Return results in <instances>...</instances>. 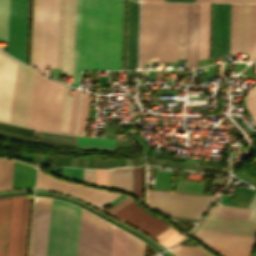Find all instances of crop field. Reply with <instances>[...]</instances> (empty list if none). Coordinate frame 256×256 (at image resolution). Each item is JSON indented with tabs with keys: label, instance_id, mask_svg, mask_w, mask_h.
I'll return each mask as SVG.
<instances>
[{
	"label": "crop field",
	"instance_id": "8a807250",
	"mask_svg": "<svg viewBox=\"0 0 256 256\" xmlns=\"http://www.w3.org/2000/svg\"><path fill=\"white\" fill-rule=\"evenodd\" d=\"M125 0H77L72 85L81 70L122 69Z\"/></svg>",
	"mask_w": 256,
	"mask_h": 256
},
{
	"label": "crop field",
	"instance_id": "ac0d7876",
	"mask_svg": "<svg viewBox=\"0 0 256 256\" xmlns=\"http://www.w3.org/2000/svg\"><path fill=\"white\" fill-rule=\"evenodd\" d=\"M35 71L0 52V121L27 127Z\"/></svg>",
	"mask_w": 256,
	"mask_h": 256
},
{
	"label": "crop field",
	"instance_id": "34b2d1b8",
	"mask_svg": "<svg viewBox=\"0 0 256 256\" xmlns=\"http://www.w3.org/2000/svg\"><path fill=\"white\" fill-rule=\"evenodd\" d=\"M59 0H34L31 66L56 68Z\"/></svg>",
	"mask_w": 256,
	"mask_h": 256
},
{
	"label": "crop field",
	"instance_id": "412701ff",
	"mask_svg": "<svg viewBox=\"0 0 256 256\" xmlns=\"http://www.w3.org/2000/svg\"><path fill=\"white\" fill-rule=\"evenodd\" d=\"M81 209L52 199L47 256H77Z\"/></svg>",
	"mask_w": 256,
	"mask_h": 256
},
{
	"label": "crop field",
	"instance_id": "f4fd0767",
	"mask_svg": "<svg viewBox=\"0 0 256 256\" xmlns=\"http://www.w3.org/2000/svg\"><path fill=\"white\" fill-rule=\"evenodd\" d=\"M64 89L36 72L28 127L58 132Z\"/></svg>",
	"mask_w": 256,
	"mask_h": 256
},
{
	"label": "crop field",
	"instance_id": "dd49c442",
	"mask_svg": "<svg viewBox=\"0 0 256 256\" xmlns=\"http://www.w3.org/2000/svg\"><path fill=\"white\" fill-rule=\"evenodd\" d=\"M95 217L82 211L78 256H104L107 223ZM112 231L108 223L105 256H110ZM126 239L127 233L114 227L111 256H125Z\"/></svg>",
	"mask_w": 256,
	"mask_h": 256
},
{
	"label": "crop field",
	"instance_id": "e52e79f7",
	"mask_svg": "<svg viewBox=\"0 0 256 256\" xmlns=\"http://www.w3.org/2000/svg\"><path fill=\"white\" fill-rule=\"evenodd\" d=\"M216 197L148 190V204L168 216L199 219Z\"/></svg>",
	"mask_w": 256,
	"mask_h": 256
},
{
	"label": "crop field",
	"instance_id": "d8731c3e",
	"mask_svg": "<svg viewBox=\"0 0 256 256\" xmlns=\"http://www.w3.org/2000/svg\"><path fill=\"white\" fill-rule=\"evenodd\" d=\"M75 1L60 0L57 68L61 73L72 74Z\"/></svg>",
	"mask_w": 256,
	"mask_h": 256
},
{
	"label": "crop field",
	"instance_id": "5a996713",
	"mask_svg": "<svg viewBox=\"0 0 256 256\" xmlns=\"http://www.w3.org/2000/svg\"><path fill=\"white\" fill-rule=\"evenodd\" d=\"M178 3H160L158 62L176 61Z\"/></svg>",
	"mask_w": 256,
	"mask_h": 256
},
{
	"label": "crop field",
	"instance_id": "3316defc",
	"mask_svg": "<svg viewBox=\"0 0 256 256\" xmlns=\"http://www.w3.org/2000/svg\"><path fill=\"white\" fill-rule=\"evenodd\" d=\"M31 198L13 197L8 256H25Z\"/></svg>",
	"mask_w": 256,
	"mask_h": 256
},
{
	"label": "crop field",
	"instance_id": "28ad6ade",
	"mask_svg": "<svg viewBox=\"0 0 256 256\" xmlns=\"http://www.w3.org/2000/svg\"><path fill=\"white\" fill-rule=\"evenodd\" d=\"M28 0H10L8 53L25 62Z\"/></svg>",
	"mask_w": 256,
	"mask_h": 256
},
{
	"label": "crop field",
	"instance_id": "d1516ede",
	"mask_svg": "<svg viewBox=\"0 0 256 256\" xmlns=\"http://www.w3.org/2000/svg\"><path fill=\"white\" fill-rule=\"evenodd\" d=\"M159 3H142L140 62H157Z\"/></svg>",
	"mask_w": 256,
	"mask_h": 256
},
{
	"label": "crop field",
	"instance_id": "22f410ed",
	"mask_svg": "<svg viewBox=\"0 0 256 256\" xmlns=\"http://www.w3.org/2000/svg\"><path fill=\"white\" fill-rule=\"evenodd\" d=\"M51 199L35 198L29 256H46Z\"/></svg>",
	"mask_w": 256,
	"mask_h": 256
},
{
	"label": "crop field",
	"instance_id": "cbeb9de0",
	"mask_svg": "<svg viewBox=\"0 0 256 256\" xmlns=\"http://www.w3.org/2000/svg\"><path fill=\"white\" fill-rule=\"evenodd\" d=\"M231 4L213 3L212 57L229 54Z\"/></svg>",
	"mask_w": 256,
	"mask_h": 256
},
{
	"label": "crop field",
	"instance_id": "5142ce71",
	"mask_svg": "<svg viewBox=\"0 0 256 256\" xmlns=\"http://www.w3.org/2000/svg\"><path fill=\"white\" fill-rule=\"evenodd\" d=\"M247 219L213 213L200 229L256 237V222L247 221Z\"/></svg>",
	"mask_w": 256,
	"mask_h": 256
},
{
	"label": "crop field",
	"instance_id": "d9b57169",
	"mask_svg": "<svg viewBox=\"0 0 256 256\" xmlns=\"http://www.w3.org/2000/svg\"><path fill=\"white\" fill-rule=\"evenodd\" d=\"M114 216L138 227L153 238L170 227L164 220L151 216L133 202Z\"/></svg>",
	"mask_w": 256,
	"mask_h": 256
},
{
	"label": "crop field",
	"instance_id": "733c2abd",
	"mask_svg": "<svg viewBox=\"0 0 256 256\" xmlns=\"http://www.w3.org/2000/svg\"><path fill=\"white\" fill-rule=\"evenodd\" d=\"M139 3L128 0L126 69L136 68Z\"/></svg>",
	"mask_w": 256,
	"mask_h": 256
},
{
	"label": "crop field",
	"instance_id": "4a817a6b",
	"mask_svg": "<svg viewBox=\"0 0 256 256\" xmlns=\"http://www.w3.org/2000/svg\"><path fill=\"white\" fill-rule=\"evenodd\" d=\"M199 3H188L186 68L197 66Z\"/></svg>",
	"mask_w": 256,
	"mask_h": 256
},
{
	"label": "crop field",
	"instance_id": "bc2a9ffb",
	"mask_svg": "<svg viewBox=\"0 0 256 256\" xmlns=\"http://www.w3.org/2000/svg\"><path fill=\"white\" fill-rule=\"evenodd\" d=\"M37 187L74 195L85 201L89 200L91 197L99 192L98 190H92L76 185L67 184L65 182L53 179L40 171H38Z\"/></svg>",
	"mask_w": 256,
	"mask_h": 256
},
{
	"label": "crop field",
	"instance_id": "214f88e0",
	"mask_svg": "<svg viewBox=\"0 0 256 256\" xmlns=\"http://www.w3.org/2000/svg\"><path fill=\"white\" fill-rule=\"evenodd\" d=\"M69 91L67 87L59 132L75 134L81 91L74 89L73 96H69Z\"/></svg>",
	"mask_w": 256,
	"mask_h": 256
},
{
	"label": "crop field",
	"instance_id": "92a150f3",
	"mask_svg": "<svg viewBox=\"0 0 256 256\" xmlns=\"http://www.w3.org/2000/svg\"><path fill=\"white\" fill-rule=\"evenodd\" d=\"M194 237L204 242L244 247V248H250V249H253L255 239H256L253 237L238 236V235L209 232V231H202V230L196 231Z\"/></svg>",
	"mask_w": 256,
	"mask_h": 256
},
{
	"label": "crop field",
	"instance_id": "dafd665d",
	"mask_svg": "<svg viewBox=\"0 0 256 256\" xmlns=\"http://www.w3.org/2000/svg\"><path fill=\"white\" fill-rule=\"evenodd\" d=\"M107 188L120 190L132 195V167L107 169Z\"/></svg>",
	"mask_w": 256,
	"mask_h": 256
},
{
	"label": "crop field",
	"instance_id": "00972430",
	"mask_svg": "<svg viewBox=\"0 0 256 256\" xmlns=\"http://www.w3.org/2000/svg\"><path fill=\"white\" fill-rule=\"evenodd\" d=\"M210 3H200L198 59L208 57Z\"/></svg>",
	"mask_w": 256,
	"mask_h": 256
},
{
	"label": "crop field",
	"instance_id": "a9b5d70f",
	"mask_svg": "<svg viewBox=\"0 0 256 256\" xmlns=\"http://www.w3.org/2000/svg\"><path fill=\"white\" fill-rule=\"evenodd\" d=\"M12 197L0 199V256H7Z\"/></svg>",
	"mask_w": 256,
	"mask_h": 256
},
{
	"label": "crop field",
	"instance_id": "4177f3b9",
	"mask_svg": "<svg viewBox=\"0 0 256 256\" xmlns=\"http://www.w3.org/2000/svg\"><path fill=\"white\" fill-rule=\"evenodd\" d=\"M249 4H239L237 53L248 54Z\"/></svg>",
	"mask_w": 256,
	"mask_h": 256
},
{
	"label": "crop field",
	"instance_id": "730fd06b",
	"mask_svg": "<svg viewBox=\"0 0 256 256\" xmlns=\"http://www.w3.org/2000/svg\"><path fill=\"white\" fill-rule=\"evenodd\" d=\"M36 169L14 161L12 188L33 187Z\"/></svg>",
	"mask_w": 256,
	"mask_h": 256
},
{
	"label": "crop field",
	"instance_id": "eef30255",
	"mask_svg": "<svg viewBox=\"0 0 256 256\" xmlns=\"http://www.w3.org/2000/svg\"><path fill=\"white\" fill-rule=\"evenodd\" d=\"M187 3H179L177 58H185Z\"/></svg>",
	"mask_w": 256,
	"mask_h": 256
},
{
	"label": "crop field",
	"instance_id": "ae1a2a85",
	"mask_svg": "<svg viewBox=\"0 0 256 256\" xmlns=\"http://www.w3.org/2000/svg\"><path fill=\"white\" fill-rule=\"evenodd\" d=\"M115 140L77 136V147L114 150Z\"/></svg>",
	"mask_w": 256,
	"mask_h": 256
},
{
	"label": "crop field",
	"instance_id": "d3111659",
	"mask_svg": "<svg viewBox=\"0 0 256 256\" xmlns=\"http://www.w3.org/2000/svg\"><path fill=\"white\" fill-rule=\"evenodd\" d=\"M204 243V242H203ZM214 251H216L221 256H251L252 251L250 249L230 247L224 245L204 243Z\"/></svg>",
	"mask_w": 256,
	"mask_h": 256
},
{
	"label": "crop field",
	"instance_id": "750c4746",
	"mask_svg": "<svg viewBox=\"0 0 256 256\" xmlns=\"http://www.w3.org/2000/svg\"><path fill=\"white\" fill-rule=\"evenodd\" d=\"M13 161L0 159V190L11 188Z\"/></svg>",
	"mask_w": 256,
	"mask_h": 256
},
{
	"label": "crop field",
	"instance_id": "bd1437ed",
	"mask_svg": "<svg viewBox=\"0 0 256 256\" xmlns=\"http://www.w3.org/2000/svg\"><path fill=\"white\" fill-rule=\"evenodd\" d=\"M171 251L175 256H212L199 245L197 247L178 245L177 247L172 248Z\"/></svg>",
	"mask_w": 256,
	"mask_h": 256
},
{
	"label": "crop field",
	"instance_id": "1d83c4d3",
	"mask_svg": "<svg viewBox=\"0 0 256 256\" xmlns=\"http://www.w3.org/2000/svg\"><path fill=\"white\" fill-rule=\"evenodd\" d=\"M133 196L143 202V166L133 167Z\"/></svg>",
	"mask_w": 256,
	"mask_h": 256
},
{
	"label": "crop field",
	"instance_id": "120bbe31",
	"mask_svg": "<svg viewBox=\"0 0 256 256\" xmlns=\"http://www.w3.org/2000/svg\"><path fill=\"white\" fill-rule=\"evenodd\" d=\"M9 0H0V40H7Z\"/></svg>",
	"mask_w": 256,
	"mask_h": 256
},
{
	"label": "crop field",
	"instance_id": "d32e631a",
	"mask_svg": "<svg viewBox=\"0 0 256 256\" xmlns=\"http://www.w3.org/2000/svg\"><path fill=\"white\" fill-rule=\"evenodd\" d=\"M118 196H120V195L115 194V193L106 192V191H101L87 202L102 209L107 204H109L114 199H116Z\"/></svg>",
	"mask_w": 256,
	"mask_h": 256
},
{
	"label": "crop field",
	"instance_id": "5866460e",
	"mask_svg": "<svg viewBox=\"0 0 256 256\" xmlns=\"http://www.w3.org/2000/svg\"><path fill=\"white\" fill-rule=\"evenodd\" d=\"M238 4H232L230 54H236Z\"/></svg>",
	"mask_w": 256,
	"mask_h": 256
},
{
	"label": "crop field",
	"instance_id": "028f5c9d",
	"mask_svg": "<svg viewBox=\"0 0 256 256\" xmlns=\"http://www.w3.org/2000/svg\"><path fill=\"white\" fill-rule=\"evenodd\" d=\"M252 18H253V4H250L249 61L251 60V46H252ZM255 55H256V4H254L252 59L255 57Z\"/></svg>",
	"mask_w": 256,
	"mask_h": 256
},
{
	"label": "crop field",
	"instance_id": "e1f06a70",
	"mask_svg": "<svg viewBox=\"0 0 256 256\" xmlns=\"http://www.w3.org/2000/svg\"><path fill=\"white\" fill-rule=\"evenodd\" d=\"M254 66L256 75V61L254 63ZM244 102L249 114L251 115L256 124V85L253 86L250 89V91L246 94Z\"/></svg>",
	"mask_w": 256,
	"mask_h": 256
},
{
	"label": "crop field",
	"instance_id": "0bd39190",
	"mask_svg": "<svg viewBox=\"0 0 256 256\" xmlns=\"http://www.w3.org/2000/svg\"><path fill=\"white\" fill-rule=\"evenodd\" d=\"M144 243L128 235L126 256H143Z\"/></svg>",
	"mask_w": 256,
	"mask_h": 256
},
{
	"label": "crop field",
	"instance_id": "b80d0937",
	"mask_svg": "<svg viewBox=\"0 0 256 256\" xmlns=\"http://www.w3.org/2000/svg\"><path fill=\"white\" fill-rule=\"evenodd\" d=\"M89 97H90V94L88 93L83 94L80 119H79L78 131H77L78 135H84V132H85Z\"/></svg>",
	"mask_w": 256,
	"mask_h": 256
},
{
	"label": "crop field",
	"instance_id": "c035e120",
	"mask_svg": "<svg viewBox=\"0 0 256 256\" xmlns=\"http://www.w3.org/2000/svg\"><path fill=\"white\" fill-rule=\"evenodd\" d=\"M250 210L248 208L219 205L215 212L248 217Z\"/></svg>",
	"mask_w": 256,
	"mask_h": 256
},
{
	"label": "crop field",
	"instance_id": "c21b1889",
	"mask_svg": "<svg viewBox=\"0 0 256 256\" xmlns=\"http://www.w3.org/2000/svg\"><path fill=\"white\" fill-rule=\"evenodd\" d=\"M83 183L95 186V170L83 169Z\"/></svg>",
	"mask_w": 256,
	"mask_h": 256
},
{
	"label": "crop field",
	"instance_id": "03da06ac",
	"mask_svg": "<svg viewBox=\"0 0 256 256\" xmlns=\"http://www.w3.org/2000/svg\"><path fill=\"white\" fill-rule=\"evenodd\" d=\"M96 186L106 188V169L96 170Z\"/></svg>",
	"mask_w": 256,
	"mask_h": 256
},
{
	"label": "crop field",
	"instance_id": "b54c1fbb",
	"mask_svg": "<svg viewBox=\"0 0 256 256\" xmlns=\"http://www.w3.org/2000/svg\"><path fill=\"white\" fill-rule=\"evenodd\" d=\"M134 200L130 199V198H125L124 200H122L121 202H119L118 204H116L114 207H112L111 209H109L108 213L110 214H115L117 211H119L120 209H122L123 207H125L127 204H129L130 202H132Z\"/></svg>",
	"mask_w": 256,
	"mask_h": 256
},
{
	"label": "crop field",
	"instance_id": "5d738f31",
	"mask_svg": "<svg viewBox=\"0 0 256 256\" xmlns=\"http://www.w3.org/2000/svg\"><path fill=\"white\" fill-rule=\"evenodd\" d=\"M182 238H183V236L176 232L171 237H169L167 240H165L162 244L169 247V246L179 242Z\"/></svg>",
	"mask_w": 256,
	"mask_h": 256
},
{
	"label": "crop field",
	"instance_id": "d23c7cc5",
	"mask_svg": "<svg viewBox=\"0 0 256 256\" xmlns=\"http://www.w3.org/2000/svg\"><path fill=\"white\" fill-rule=\"evenodd\" d=\"M248 207L252 208L248 220L256 221V192H255V194H254V196H253V198H252Z\"/></svg>",
	"mask_w": 256,
	"mask_h": 256
},
{
	"label": "crop field",
	"instance_id": "425ffa30",
	"mask_svg": "<svg viewBox=\"0 0 256 256\" xmlns=\"http://www.w3.org/2000/svg\"><path fill=\"white\" fill-rule=\"evenodd\" d=\"M175 231V229L172 227H170L169 229H167L166 231H164L162 234H160L159 236H157L156 239L158 242H162L164 241L166 238H168L170 235H172Z\"/></svg>",
	"mask_w": 256,
	"mask_h": 256
},
{
	"label": "crop field",
	"instance_id": "25e5ab78",
	"mask_svg": "<svg viewBox=\"0 0 256 256\" xmlns=\"http://www.w3.org/2000/svg\"><path fill=\"white\" fill-rule=\"evenodd\" d=\"M73 180L82 183V169L73 168Z\"/></svg>",
	"mask_w": 256,
	"mask_h": 256
},
{
	"label": "crop field",
	"instance_id": "73cf0c24",
	"mask_svg": "<svg viewBox=\"0 0 256 256\" xmlns=\"http://www.w3.org/2000/svg\"><path fill=\"white\" fill-rule=\"evenodd\" d=\"M62 158H63V156H58L56 165H61V163H62ZM70 158H71V157L64 156L63 164H62V165L69 166Z\"/></svg>",
	"mask_w": 256,
	"mask_h": 256
},
{
	"label": "crop field",
	"instance_id": "89e229c0",
	"mask_svg": "<svg viewBox=\"0 0 256 256\" xmlns=\"http://www.w3.org/2000/svg\"><path fill=\"white\" fill-rule=\"evenodd\" d=\"M182 164L183 163H180V162H174V161H168L166 160V163H165V166H168V167H177V168H182Z\"/></svg>",
	"mask_w": 256,
	"mask_h": 256
},
{
	"label": "crop field",
	"instance_id": "1f2cbd36",
	"mask_svg": "<svg viewBox=\"0 0 256 256\" xmlns=\"http://www.w3.org/2000/svg\"><path fill=\"white\" fill-rule=\"evenodd\" d=\"M2 124V123H1ZM5 125H7V124H5ZM11 126V125H10ZM1 127V126H0ZM6 127V126H5ZM4 127V128H5ZM4 128H0L1 130H5V131H10V132H15V133H21V134H26V135H32V134H27V133H23V132H18V131H14V130H9V129H4ZM9 128H12V127H9ZM20 128V127H19ZM13 129H17V128H13ZM24 129V128H23ZM18 130H21V129H18ZM29 130V129H28ZM22 131H25V130H22ZM27 132H29V131H27ZM33 133V132H32ZM17 136V135H16ZM32 136H34V135H32ZM22 137V136H21Z\"/></svg>",
	"mask_w": 256,
	"mask_h": 256
},
{
	"label": "crop field",
	"instance_id": "dbb93151",
	"mask_svg": "<svg viewBox=\"0 0 256 256\" xmlns=\"http://www.w3.org/2000/svg\"><path fill=\"white\" fill-rule=\"evenodd\" d=\"M203 165L218 167L217 165H209V164H205V163H204ZM207 166H203V168L218 170V168H214V167H207ZM202 171H205V172H218V171H214V170H206V169H203Z\"/></svg>",
	"mask_w": 256,
	"mask_h": 256
},
{
	"label": "crop field",
	"instance_id": "0fb4a251",
	"mask_svg": "<svg viewBox=\"0 0 256 256\" xmlns=\"http://www.w3.org/2000/svg\"><path fill=\"white\" fill-rule=\"evenodd\" d=\"M117 165H126L124 159H114V166Z\"/></svg>",
	"mask_w": 256,
	"mask_h": 256
},
{
	"label": "crop field",
	"instance_id": "1d79db26",
	"mask_svg": "<svg viewBox=\"0 0 256 256\" xmlns=\"http://www.w3.org/2000/svg\"><path fill=\"white\" fill-rule=\"evenodd\" d=\"M228 2H246V3H256V0H228Z\"/></svg>",
	"mask_w": 256,
	"mask_h": 256
},
{
	"label": "crop field",
	"instance_id": "9d1cf04e",
	"mask_svg": "<svg viewBox=\"0 0 256 256\" xmlns=\"http://www.w3.org/2000/svg\"><path fill=\"white\" fill-rule=\"evenodd\" d=\"M156 157L154 156H148V164L155 165Z\"/></svg>",
	"mask_w": 256,
	"mask_h": 256
},
{
	"label": "crop field",
	"instance_id": "447ae74e",
	"mask_svg": "<svg viewBox=\"0 0 256 256\" xmlns=\"http://www.w3.org/2000/svg\"><path fill=\"white\" fill-rule=\"evenodd\" d=\"M78 158L72 157L70 166H77Z\"/></svg>",
	"mask_w": 256,
	"mask_h": 256
},
{
	"label": "crop field",
	"instance_id": "0765c3eb",
	"mask_svg": "<svg viewBox=\"0 0 256 256\" xmlns=\"http://www.w3.org/2000/svg\"><path fill=\"white\" fill-rule=\"evenodd\" d=\"M107 167V159H101V168Z\"/></svg>",
	"mask_w": 256,
	"mask_h": 256
},
{
	"label": "crop field",
	"instance_id": "db79e9e6",
	"mask_svg": "<svg viewBox=\"0 0 256 256\" xmlns=\"http://www.w3.org/2000/svg\"><path fill=\"white\" fill-rule=\"evenodd\" d=\"M93 167H98L100 168V159H95L94 161V166Z\"/></svg>",
	"mask_w": 256,
	"mask_h": 256
},
{
	"label": "crop field",
	"instance_id": "7b73153f",
	"mask_svg": "<svg viewBox=\"0 0 256 256\" xmlns=\"http://www.w3.org/2000/svg\"><path fill=\"white\" fill-rule=\"evenodd\" d=\"M165 160L157 159L156 165L164 166Z\"/></svg>",
	"mask_w": 256,
	"mask_h": 256
},
{
	"label": "crop field",
	"instance_id": "78b8030e",
	"mask_svg": "<svg viewBox=\"0 0 256 256\" xmlns=\"http://www.w3.org/2000/svg\"><path fill=\"white\" fill-rule=\"evenodd\" d=\"M224 64L220 65L219 76H223Z\"/></svg>",
	"mask_w": 256,
	"mask_h": 256
},
{
	"label": "crop field",
	"instance_id": "0f1d7ab4",
	"mask_svg": "<svg viewBox=\"0 0 256 256\" xmlns=\"http://www.w3.org/2000/svg\"><path fill=\"white\" fill-rule=\"evenodd\" d=\"M38 156H39V154L37 155V158H36V161H35L36 163H37V161H38ZM43 156H44V155H40V156H39V161H38L39 164H41Z\"/></svg>",
	"mask_w": 256,
	"mask_h": 256
},
{
	"label": "crop field",
	"instance_id": "e1d0b9f6",
	"mask_svg": "<svg viewBox=\"0 0 256 256\" xmlns=\"http://www.w3.org/2000/svg\"><path fill=\"white\" fill-rule=\"evenodd\" d=\"M189 163L190 162L185 161L182 169H188Z\"/></svg>",
	"mask_w": 256,
	"mask_h": 256
},
{
	"label": "crop field",
	"instance_id": "ae633e8c",
	"mask_svg": "<svg viewBox=\"0 0 256 256\" xmlns=\"http://www.w3.org/2000/svg\"><path fill=\"white\" fill-rule=\"evenodd\" d=\"M117 149H133L132 146L117 147Z\"/></svg>",
	"mask_w": 256,
	"mask_h": 256
},
{
	"label": "crop field",
	"instance_id": "d14b1444",
	"mask_svg": "<svg viewBox=\"0 0 256 256\" xmlns=\"http://www.w3.org/2000/svg\"><path fill=\"white\" fill-rule=\"evenodd\" d=\"M168 1L194 2V0H168Z\"/></svg>",
	"mask_w": 256,
	"mask_h": 256
},
{
	"label": "crop field",
	"instance_id": "c39391a2",
	"mask_svg": "<svg viewBox=\"0 0 256 256\" xmlns=\"http://www.w3.org/2000/svg\"><path fill=\"white\" fill-rule=\"evenodd\" d=\"M113 166V159H108V167Z\"/></svg>",
	"mask_w": 256,
	"mask_h": 256
},
{
	"label": "crop field",
	"instance_id": "ade564c9",
	"mask_svg": "<svg viewBox=\"0 0 256 256\" xmlns=\"http://www.w3.org/2000/svg\"><path fill=\"white\" fill-rule=\"evenodd\" d=\"M58 147H61V148H75L76 149V146H62V145H58Z\"/></svg>",
	"mask_w": 256,
	"mask_h": 256
},
{
	"label": "crop field",
	"instance_id": "c5b07064",
	"mask_svg": "<svg viewBox=\"0 0 256 256\" xmlns=\"http://www.w3.org/2000/svg\"><path fill=\"white\" fill-rule=\"evenodd\" d=\"M89 159H84L83 167H87Z\"/></svg>",
	"mask_w": 256,
	"mask_h": 256
},
{
	"label": "crop field",
	"instance_id": "c3a83c6f",
	"mask_svg": "<svg viewBox=\"0 0 256 256\" xmlns=\"http://www.w3.org/2000/svg\"><path fill=\"white\" fill-rule=\"evenodd\" d=\"M195 2H213V0H195Z\"/></svg>",
	"mask_w": 256,
	"mask_h": 256
},
{
	"label": "crop field",
	"instance_id": "fb207236",
	"mask_svg": "<svg viewBox=\"0 0 256 256\" xmlns=\"http://www.w3.org/2000/svg\"><path fill=\"white\" fill-rule=\"evenodd\" d=\"M195 164H196V163L191 162V164H190V168H189V169L194 170V168H195Z\"/></svg>",
	"mask_w": 256,
	"mask_h": 256
},
{
	"label": "crop field",
	"instance_id": "7312dd0a",
	"mask_svg": "<svg viewBox=\"0 0 256 256\" xmlns=\"http://www.w3.org/2000/svg\"><path fill=\"white\" fill-rule=\"evenodd\" d=\"M83 159L79 158L78 166L82 167Z\"/></svg>",
	"mask_w": 256,
	"mask_h": 256
},
{
	"label": "crop field",
	"instance_id": "180be81f",
	"mask_svg": "<svg viewBox=\"0 0 256 256\" xmlns=\"http://www.w3.org/2000/svg\"><path fill=\"white\" fill-rule=\"evenodd\" d=\"M94 159H90L88 167H92Z\"/></svg>",
	"mask_w": 256,
	"mask_h": 256
},
{
	"label": "crop field",
	"instance_id": "f0312440",
	"mask_svg": "<svg viewBox=\"0 0 256 256\" xmlns=\"http://www.w3.org/2000/svg\"><path fill=\"white\" fill-rule=\"evenodd\" d=\"M138 158L140 159L141 164H144V163H145V161H144V159L142 158V156H139Z\"/></svg>",
	"mask_w": 256,
	"mask_h": 256
},
{
	"label": "crop field",
	"instance_id": "1f1604b0",
	"mask_svg": "<svg viewBox=\"0 0 256 256\" xmlns=\"http://www.w3.org/2000/svg\"><path fill=\"white\" fill-rule=\"evenodd\" d=\"M122 137H127V135H125V136H119V137H117V138H122ZM125 139H127V138L117 139V141H119V140H125Z\"/></svg>",
	"mask_w": 256,
	"mask_h": 256
},
{
	"label": "crop field",
	"instance_id": "819c52e7",
	"mask_svg": "<svg viewBox=\"0 0 256 256\" xmlns=\"http://www.w3.org/2000/svg\"><path fill=\"white\" fill-rule=\"evenodd\" d=\"M214 2H227V0H214Z\"/></svg>",
	"mask_w": 256,
	"mask_h": 256
},
{
	"label": "crop field",
	"instance_id": "c821d689",
	"mask_svg": "<svg viewBox=\"0 0 256 256\" xmlns=\"http://www.w3.org/2000/svg\"><path fill=\"white\" fill-rule=\"evenodd\" d=\"M129 160H130V164L132 165V163H131V159H129ZM129 160H128V159H126V164H127V165H130V164H129Z\"/></svg>",
	"mask_w": 256,
	"mask_h": 256
},
{
	"label": "crop field",
	"instance_id": "a0ae1fb6",
	"mask_svg": "<svg viewBox=\"0 0 256 256\" xmlns=\"http://www.w3.org/2000/svg\"><path fill=\"white\" fill-rule=\"evenodd\" d=\"M35 142H38V141H35ZM38 143H44V142H38ZM44 144H49V145H54V146H56V144H51V143H44Z\"/></svg>",
	"mask_w": 256,
	"mask_h": 256
},
{
	"label": "crop field",
	"instance_id": "8de936bc",
	"mask_svg": "<svg viewBox=\"0 0 256 256\" xmlns=\"http://www.w3.org/2000/svg\"><path fill=\"white\" fill-rule=\"evenodd\" d=\"M198 168H199V166H196V169H195V170H197V171H198ZM201 169H202V166H200L199 171H201Z\"/></svg>",
	"mask_w": 256,
	"mask_h": 256
},
{
	"label": "crop field",
	"instance_id": "920284fa",
	"mask_svg": "<svg viewBox=\"0 0 256 256\" xmlns=\"http://www.w3.org/2000/svg\"><path fill=\"white\" fill-rule=\"evenodd\" d=\"M144 1H162V0H144Z\"/></svg>",
	"mask_w": 256,
	"mask_h": 256
}]
</instances>
